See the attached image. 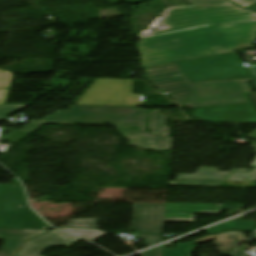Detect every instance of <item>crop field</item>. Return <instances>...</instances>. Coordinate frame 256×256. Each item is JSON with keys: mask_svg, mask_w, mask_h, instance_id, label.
Instances as JSON below:
<instances>
[{"mask_svg": "<svg viewBox=\"0 0 256 256\" xmlns=\"http://www.w3.org/2000/svg\"><path fill=\"white\" fill-rule=\"evenodd\" d=\"M162 246L144 253V256H161Z\"/></svg>", "mask_w": 256, "mask_h": 256, "instance_id": "obj_25", "label": "crop field"}, {"mask_svg": "<svg viewBox=\"0 0 256 256\" xmlns=\"http://www.w3.org/2000/svg\"><path fill=\"white\" fill-rule=\"evenodd\" d=\"M191 242L176 244L173 248L163 246L162 256H190Z\"/></svg>", "mask_w": 256, "mask_h": 256, "instance_id": "obj_17", "label": "crop field"}, {"mask_svg": "<svg viewBox=\"0 0 256 256\" xmlns=\"http://www.w3.org/2000/svg\"><path fill=\"white\" fill-rule=\"evenodd\" d=\"M27 105H4L0 106V120L20 110Z\"/></svg>", "mask_w": 256, "mask_h": 256, "instance_id": "obj_20", "label": "crop field"}, {"mask_svg": "<svg viewBox=\"0 0 256 256\" xmlns=\"http://www.w3.org/2000/svg\"><path fill=\"white\" fill-rule=\"evenodd\" d=\"M8 91L9 90L6 89H0V104H4L6 102Z\"/></svg>", "mask_w": 256, "mask_h": 256, "instance_id": "obj_28", "label": "crop field"}, {"mask_svg": "<svg viewBox=\"0 0 256 256\" xmlns=\"http://www.w3.org/2000/svg\"><path fill=\"white\" fill-rule=\"evenodd\" d=\"M256 22L212 24L148 38L138 43L143 67L213 56L226 50L253 46Z\"/></svg>", "mask_w": 256, "mask_h": 256, "instance_id": "obj_1", "label": "crop field"}, {"mask_svg": "<svg viewBox=\"0 0 256 256\" xmlns=\"http://www.w3.org/2000/svg\"><path fill=\"white\" fill-rule=\"evenodd\" d=\"M99 219L73 220L67 226L97 228Z\"/></svg>", "mask_w": 256, "mask_h": 256, "instance_id": "obj_19", "label": "crop field"}, {"mask_svg": "<svg viewBox=\"0 0 256 256\" xmlns=\"http://www.w3.org/2000/svg\"><path fill=\"white\" fill-rule=\"evenodd\" d=\"M233 171H248L243 169L219 172L217 168L200 167L195 175L178 174L176 182L169 186L218 187Z\"/></svg>", "mask_w": 256, "mask_h": 256, "instance_id": "obj_11", "label": "crop field"}, {"mask_svg": "<svg viewBox=\"0 0 256 256\" xmlns=\"http://www.w3.org/2000/svg\"><path fill=\"white\" fill-rule=\"evenodd\" d=\"M131 85L132 80L98 79L77 104L142 106V95L131 94Z\"/></svg>", "mask_w": 256, "mask_h": 256, "instance_id": "obj_7", "label": "crop field"}, {"mask_svg": "<svg viewBox=\"0 0 256 256\" xmlns=\"http://www.w3.org/2000/svg\"><path fill=\"white\" fill-rule=\"evenodd\" d=\"M194 116L213 122L256 123V116L249 105L201 108L195 110Z\"/></svg>", "mask_w": 256, "mask_h": 256, "instance_id": "obj_10", "label": "crop field"}, {"mask_svg": "<svg viewBox=\"0 0 256 256\" xmlns=\"http://www.w3.org/2000/svg\"><path fill=\"white\" fill-rule=\"evenodd\" d=\"M130 231L163 233L166 205L133 204Z\"/></svg>", "mask_w": 256, "mask_h": 256, "instance_id": "obj_8", "label": "crop field"}, {"mask_svg": "<svg viewBox=\"0 0 256 256\" xmlns=\"http://www.w3.org/2000/svg\"><path fill=\"white\" fill-rule=\"evenodd\" d=\"M176 64L193 82L251 78L247 69L236 63L232 53Z\"/></svg>", "mask_w": 256, "mask_h": 256, "instance_id": "obj_6", "label": "crop field"}, {"mask_svg": "<svg viewBox=\"0 0 256 256\" xmlns=\"http://www.w3.org/2000/svg\"><path fill=\"white\" fill-rule=\"evenodd\" d=\"M254 83V85L256 86V80L252 81Z\"/></svg>", "mask_w": 256, "mask_h": 256, "instance_id": "obj_33", "label": "crop field"}, {"mask_svg": "<svg viewBox=\"0 0 256 256\" xmlns=\"http://www.w3.org/2000/svg\"><path fill=\"white\" fill-rule=\"evenodd\" d=\"M245 239L242 232H225L218 235L202 237L195 241V243L198 244L208 240H214V244L221 251L219 255L231 256Z\"/></svg>", "mask_w": 256, "mask_h": 256, "instance_id": "obj_14", "label": "crop field"}, {"mask_svg": "<svg viewBox=\"0 0 256 256\" xmlns=\"http://www.w3.org/2000/svg\"><path fill=\"white\" fill-rule=\"evenodd\" d=\"M246 137L256 140V129L249 133Z\"/></svg>", "mask_w": 256, "mask_h": 256, "instance_id": "obj_30", "label": "crop field"}, {"mask_svg": "<svg viewBox=\"0 0 256 256\" xmlns=\"http://www.w3.org/2000/svg\"><path fill=\"white\" fill-rule=\"evenodd\" d=\"M71 111H57L40 122H32L21 131L32 133L44 123L76 125L105 123L117 127L123 138L129 139V145L146 147L156 151L172 150V138L165 137L168 128L164 126L165 116L160 111H153L151 114L150 129L153 134L164 135V137L144 132L147 111L131 107H104V106H70ZM130 126L141 127L140 131L127 129ZM160 138V140H158ZM166 139V140H163ZM167 143V144H164Z\"/></svg>", "mask_w": 256, "mask_h": 256, "instance_id": "obj_2", "label": "crop field"}, {"mask_svg": "<svg viewBox=\"0 0 256 256\" xmlns=\"http://www.w3.org/2000/svg\"><path fill=\"white\" fill-rule=\"evenodd\" d=\"M147 77L156 88L168 93L175 101L193 108L200 106L247 103L242 94L250 93V79L193 84L174 64L147 68Z\"/></svg>", "mask_w": 256, "mask_h": 256, "instance_id": "obj_3", "label": "crop field"}, {"mask_svg": "<svg viewBox=\"0 0 256 256\" xmlns=\"http://www.w3.org/2000/svg\"><path fill=\"white\" fill-rule=\"evenodd\" d=\"M0 256H9V255H5V254H1V253H0Z\"/></svg>", "mask_w": 256, "mask_h": 256, "instance_id": "obj_32", "label": "crop field"}, {"mask_svg": "<svg viewBox=\"0 0 256 256\" xmlns=\"http://www.w3.org/2000/svg\"><path fill=\"white\" fill-rule=\"evenodd\" d=\"M247 69H248V71L250 72V74H251V76L253 77V79H255V78H256V76L252 73L253 71L251 72V70H250V68H249V67H248Z\"/></svg>", "mask_w": 256, "mask_h": 256, "instance_id": "obj_31", "label": "crop field"}, {"mask_svg": "<svg viewBox=\"0 0 256 256\" xmlns=\"http://www.w3.org/2000/svg\"><path fill=\"white\" fill-rule=\"evenodd\" d=\"M12 182L14 185H0V228L51 229L27 207L18 180Z\"/></svg>", "mask_w": 256, "mask_h": 256, "instance_id": "obj_5", "label": "crop field"}, {"mask_svg": "<svg viewBox=\"0 0 256 256\" xmlns=\"http://www.w3.org/2000/svg\"><path fill=\"white\" fill-rule=\"evenodd\" d=\"M108 1H110L113 4L119 3V2H123V1H127V2L135 5V4H139V3H142V2H145V1H149V0H108Z\"/></svg>", "mask_w": 256, "mask_h": 256, "instance_id": "obj_27", "label": "crop field"}, {"mask_svg": "<svg viewBox=\"0 0 256 256\" xmlns=\"http://www.w3.org/2000/svg\"><path fill=\"white\" fill-rule=\"evenodd\" d=\"M242 7H248L250 6L251 4H253L254 2H256V0H230Z\"/></svg>", "mask_w": 256, "mask_h": 256, "instance_id": "obj_24", "label": "crop field"}, {"mask_svg": "<svg viewBox=\"0 0 256 256\" xmlns=\"http://www.w3.org/2000/svg\"><path fill=\"white\" fill-rule=\"evenodd\" d=\"M47 232V230L0 229V240H5L1 253L17 255L24 241Z\"/></svg>", "mask_w": 256, "mask_h": 256, "instance_id": "obj_13", "label": "crop field"}, {"mask_svg": "<svg viewBox=\"0 0 256 256\" xmlns=\"http://www.w3.org/2000/svg\"><path fill=\"white\" fill-rule=\"evenodd\" d=\"M256 113V94L245 95Z\"/></svg>", "mask_w": 256, "mask_h": 256, "instance_id": "obj_26", "label": "crop field"}, {"mask_svg": "<svg viewBox=\"0 0 256 256\" xmlns=\"http://www.w3.org/2000/svg\"><path fill=\"white\" fill-rule=\"evenodd\" d=\"M251 147L255 149V151L253 153L256 154V141L251 144ZM255 165H256V157H255L251 167H254Z\"/></svg>", "mask_w": 256, "mask_h": 256, "instance_id": "obj_29", "label": "crop field"}, {"mask_svg": "<svg viewBox=\"0 0 256 256\" xmlns=\"http://www.w3.org/2000/svg\"><path fill=\"white\" fill-rule=\"evenodd\" d=\"M227 181H256V168L250 173H234Z\"/></svg>", "mask_w": 256, "mask_h": 256, "instance_id": "obj_18", "label": "crop field"}, {"mask_svg": "<svg viewBox=\"0 0 256 256\" xmlns=\"http://www.w3.org/2000/svg\"><path fill=\"white\" fill-rule=\"evenodd\" d=\"M64 231H67L73 235H76L85 240L91 241L93 243L96 242L97 239L106 236L110 233H106L99 230H89V229H73V228H60Z\"/></svg>", "mask_w": 256, "mask_h": 256, "instance_id": "obj_16", "label": "crop field"}, {"mask_svg": "<svg viewBox=\"0 0 256 256\" xmlns=\"http://www.w3.org/2000/svg\"><path fill=\"white\" fill-rule=\"evenodd\" d=\"M11 80H12V73L5 72V71H3V73H0V88L1 87L9 88Z\"/></svg>", "mask_w": 256, "mask_h": 256, "instance_id": "obj_23", "label": "crop field"}, {"mask_svg": "<svg viewBox=\"0 0 256 256\" xmlns=\"http://www.w3.org/2000/svg\"><path fill=\"white\" fill-rule=\"evenodd\" d=\"M229 229H242V230H249L254 231L255 229V221H228L216 227H213L208 230V233H213L222 230H229Z\"/></svg>", "mask_w": 256, "mask_h": 256, "instance_id": "obj_15", "label": "crop field"}, {"mask_svg": "<svg viewBox=\"0 0 256 256\" xmlns=\"http://www.w3.org/2000/svg\"><path fill=\"white\" fill-rule=\"evenodd\" d=\"M241 206L167 203L165 222H194V214H219V209H241Z\"/></svg>", "mask_w": 256, "mask_h": 256, "instance_id": "obj_9", "label": "crop field"}, {"mask_svg": "<svg viewBox=\"0 0 256 256\" xmlns=\"http://www.w3.org/2000/svg\"><path fill=\"white\" fill-rule=\"evenodd\" d=\"M195 6H209V5H219V4H228L230 3L227 0H188Z\"/></svg>", "mask_w": 256, "mask_h": 256, "instance_id": "obj_22", "label": "crop field"}, {"mask_svg": "<svg viewBox=\"0 0 256 256\" xmlns=\"http://www.w3.org/2000/svg\"><path fill=\"white\" fill-rule=\"evenodd\" d=\"M256 13L234 4L209 7H183L168 11L163 21L172 29L154 33L162 34L212 23L255 18Z\"/></svg>", "mask_w": 256, "mask_h": 256, "instance_id": "obj_4", "label": "crop field"}, {"mask_svg": "<svg viewBox=\"0 0 256 256\" xmlns=\"http://www.w3.org/2000/svg\"><path fill=\"white\" fill-rule=\"evenodd\" d=\"M146 246L161 242L163 235L139 233Z\"/></svg>", "mask_w": 256, "mask_h": 256, "instance_id": "obj_21", "label": "crop field"}, {"mask_svg": "<svg viewBox=\"0 0 256 256\" xmlns=\"http://www.w3.org/2000/svg\"><path fill=\"white\" fill-rule=\"evenodd\" d=\"M253 68H254V70H255V72H256V66H253Z\"/></svg>", "mask_w": 256, "mask_h": 256, "instance_id": "obj_34", "label": "crop field"}, {"mask_svg": "<svg viewBox=\"0 0 256 256\" xmlns=\"http://www.w3.org/2000/svg\"><path fill=\"white\" fill-rule=\"evenodd\" d=\"M80 239L53 230L25 243L18 256H39L44 249L51 246H71ZM72 242V243H70Z\"/></svg>", "mask_w": 256, "mask_h": 256, "instance_id": "obj_12", "label": "crop field"}]
</instances>
